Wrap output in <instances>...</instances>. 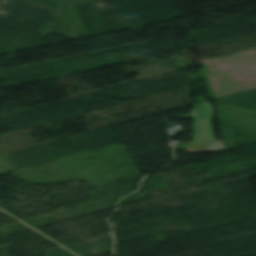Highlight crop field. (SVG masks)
I'll return each instance as SVG.
<instances>
[{
  "label": "crop field",
  "mask_w": 256,
  "mask_h": 256,
  "mask_svg": "<svg viewBox=\"0 0 256 256\" xmlns=\"http://www.w3.org/2000/svg\"><path fill=\"white\" fill-rule=\"evenodd\" d=\"M202 119H194L195 133L193 141L214 140L210 120L212 117V109L208 102L201 103Z\"/></svg>",
  "instance_id": "obj_1"
}]
</instances>
